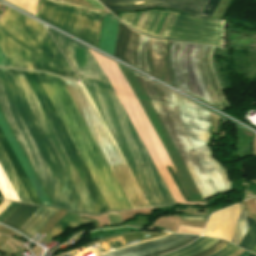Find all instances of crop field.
<instances>
[{
	"mask_svg": "<svg viewBox=\"0 0 256 256\" xmlns=\"http://www.w3.org/2000/svg\"><path fill=\"white\" fill-rule=\"evenodd\" d=\"M86 84L153 207L174 201L110 83L89 49L49 29ZM139 84L203 198L230 189L227 173L207 146L210 112L137 74Z\"/></svg>",
	"mask_w": 256,
	"mask_h": 256,
	"instance_id": "crop-field-1",
	"label": "crop field"
},
{
	"mask_svg": "<svg viewBox=\"0 0 256 256\" xmlns=\"http://www.w3.org/2000/svg\"><path fill=\"white\" fill-rule=\"evenodd\" d=\"M10 71L13 77L15 78L19 88L21 89L24 97L26 98L29 106L31 107L40 126L42 127L45 135L47 136L56 155L58 156L61 164L63 165L72 184L74 185L77 193L79 194L88 213H99V211L100 213H102L108 211L109 208L105 200L103 199L93 178L91 177L88 169L86 168L82 158L80 157L58 114L56 113L41 83L39 82L35 72L23 71L26 79L28 80L32 90L34 91L37 99L39 100L47 117L49 118L53 128L55 129L63 146L65 147L68 155L70 156L74 166L76 167L79 175L81 176L99 211L96 205L94 204L90 194L88 193L85 185L83 184L80 176L78 175L75 167L73 166L64 147L62 146L59 138L57 137L54 129L52 128L43 109L41 108L38 100L36 99L33 91L31 90L22 71L12 69H10ZM10 71L9 69L0 68V78L4 86L6 87L16 108L18 109L27 128L29 129L32 137L34 138L49 168L51 169L72 210L80 213H87L84 205L82 204L78 194L76 193L73 185L71 184L68 176L66 175L62 165L60 164L57 156L55 155L52 147L50 146L46 136L44 135L41 127L39 126L36 118L34 117L30 107L28 106Z\"/></svg>",
	"mask_w": 256,
	"mask_h": 256,
	"instance_id": "crop-field-2",
	"label": "crop field"
},
{
	"mask_svg": "<svg viewBox=\"0 0 256 256\" xmlns=\"http://www.w3.org/2000/svg\"><path fill=\"white\" fill-rule=\"evenodd\" d=\"M0 47L13 67L80 81L44 26L8 7L0 17Z\"/></svg>",
	"mask_w": 256,
	"mask_h": 256,
	"instance_id": "crop-field-3",
	"label": "crop field"
},
{
	"mask_svg": "<svg viewBox=\"0 0 256 256\" xmlns=\"http://www.w3.org/2000/svg\"><path fill=\"white\" fill-rule=\"evenodd\" d=\"M110 210L131 209L61 78L37 73Z\"/></svg>",
	"mask_w": 256,
	"mask_h": 256,
	"instance_id": "crop-field-4",
	"label": "crop field"
},
{
	"mask_svg": "<svg viewBox=\"0 0 256 256\" xmlns=\"http://www.w3.org/2000/svg\"><path fill=\"white\" fill-rule=\"evenodd\" d=\"M212 48L169 41L163 81L218 107L227 108L213 73Z\"/></svg>",
	"mask_w": 256,
	"mask_h": 256,
	"instance_id": "crop-field-5",
	"label": "crop field"
},
{
	"mask_svg": "<svg viewBox=\"0 0 256 256\" xmlns=\"http://www.w3.org/2000/svg\"><path fill=\"white\" fill-rule=\"evenodd\" d=\"M108 164L125 162L84 84L62 79ZM132 209L150 207L127 163L110 166Z\"/></svg>",
	"mask_w": 256,
	"mask_h": 256,
	"instance_id": "crop-field-6",
	"label": "crop field"
},
{
	"mask_svg": "<svg viewBox=\"0 0 256 256\" xmlns=\"http://www.w3.org/2000/svg\"><path fill=\"white\" fill-rule=\"evenodd\" d=\"M121 20L152 35L221 46L224 20L159 10L122 14Z\"/></svg>",
	"mask_w": 256,
	"mask_h": 256,
	"instance_id": "crop-field-7",
	"label": "crop field"
},
{
	"mask_svg": "<svg viewBox=\"0 0 256 256\" xmlns=\"http://www.w3.org/2000/svg\"><path fill=\"white\" fill-rule=\"evenodd\" d=\"M101 16V12L62 0H39L37 13V17L95 46L98 44Z\"/></svg>",
	"mask_w": 256,
	"mask_h": 256,
	"instance_id": "crop-field-8",
	"label": "crop field"
},
{
	"mask_svg": "<svg viewBox=\"0 0 256 256\" xmlns=\"http://www.w3.org/2000/svg\"><path fill=\"white\" fill-rule=\"evenodd\" d=\"M0 107L40 177L54 205L71 209L1 80Z\"/></svg>",
	"mask_w": 256,
	"mask_h": 256,
	"instance_id": "crop-field-9",
	"label": "crop field"
},
{
	"mask_svg": "<svg viewBox=\"0 0 256 256\" xmlns=\"http://www.w3.org/2000/svg\"><path fill=\"white\" fill-rule=\"evenodd\" d=\"M0 128L2 129L6 139L8 140L11 148L13 149L16 157L18 158L21 166L23 167L26 175L28 176L32 186L34 187L37 195L39 196L42 204H48L51 205L48 197L46 196L43 188L41 187L37 177L35 176L32 168L30 167L27 159L25 158L22 150L20 149L17 141L15 140L11 130L9 129L6 121L4 120L1 112H0ZM0 129V144L2 146V148L4 149L8 159L10 160L14 170L16 171L20 181L22 182L26 192L28 193L32 203H36V204H41L38 196L36 195L33 187L31 186L27 176L25 175L22 167L20 166L17 158L15 157L12 149L10 148L7 140L5 139L2 131Z\"/></svg>",
	"mask_w": 256,
	"mask_h": 256,
	"instance_id": "crop-field-10",
	"label": "crop field"
},
{
	"mask_svg": "<svg viewBox=\"0 0 256 256\" xmlns=\"http://www.w3.org/2000/svg\"><path fill=\"white\" fill-rule=\"evenodd\" d=\"M117 24V19L104 13L99 48L112 55L114 53ZM138 36L139 33L127 29L119 22L114 56L134 65Z\"/></svg>",
	"mask_w": 256,
	"mask_h": 256,
	"instance_id": "crop-field-11",
	"label": "crop field"
},
{
	"mask_svg": "<svg viewBox=\"0 0 256 256\" xmlns=\"http://www.w3.org/2000/svg\"><path fill=\"white\" fill-rule=\"evenodd\" d=\"M166 43L140 33L135 67L161 79Z\"/></svg>",
	"mask_w": 256,
	"mask_h": 256,
	"instance_id": "crop-field-12",
	"label": "crop field"
},
{
	"mask_svg": "<svg viewBox=\"0 0 256 256\" xmlns=\"http://www.w3.org/2000/svg\"><path fill=\"white\" fill-rule=\"evenodd\" d=\"M199 236L172 234L153 241L112 251L104 256H157L182 247Z\"/></svg>",
	"mask_w": 256,
	"mask_h": 256,
	"instance_id": "crop-field-13",
	"label": "crop field"
},
{
	"mask_svg": "<svg viewBox=\"0 0 256 256\" xmlns=\"http://www.w3.org/2000/svg\"><path fill=\"white\" fill-rule=\"evenodd\" d=\"M108 9L137 10L160 6L201 14L208 0H98Z\"/></svg>",
	"mask_w": 256,
	"mask_h": 256,
	"instance_id": "crop-field-14",
	"label": "crop field"
},
{
	"mask_svg": "<svg viewBox=\"0 0 256 256\" xmlns=\"http://www.w3.org/2000/svg\"><path fill=\"white\" fill-rule=\"evenodd\" d=\"M56 209L39 207L19 231L32 237L56 212Z\"/></svg>",
	"mask_w": 256,
	"mask_h": 256,
	"instance_id": "crop-field-15",
	"label": "crop field"
},
{
	"mask_svg": "<svg viewBox=\"0 0 256 256\" xmlns=\"http://www.w3.org/2000/svg\"><path fill=\"white\" fill-rule=\"evenodd\" d=\"M0 165L3 168L7 178L9 179L13 189L15 190L19 200L21 202L31 203L27 193L25 192L21 182L19 181L15 171L13 170L1 146H0Z\"/></svg>",
	"mask_w": 256,
	"mask_h": 256,
	"instance_id": "crop-field-16",
	"label": "crop field"
},
{
	"mask_svg": "<svg viewBox=\"0 0 256 256\" xmlns=\"http://www.w3.org/2000/svg\"><path fill=\"white\" fill-rule=\"evenodd\" d=\"M94 222L93 220H87L81 217H78L76 215H73L71 213H67L59 223H57L52 230L42 239V241H45L49 243L54 238L58 237L63 231H65V226H69L71 228H76L79 226H82L87 223Z\"/></svg>",
	"mask_w": 256,
	"mask_h": 256,
	"instance_id": "crop-field-17",
	"label": "crop field"
},
{
	"mask_svg": "<svg viewBox=\"0 0 256 256\" xmlns=\"http://www.w3.org/2000/svg\"><path fill=\"white\" fill-rule=\"evenodd\" d=\"M38 206L20 204L16 211L4 224L18 230L22 224L34 213Z\"/></svg>",
	"mask_w": 256,
	"mask_h": 256,
	"instance_id": "crop-field-18",
	"label": "crop field"
},
{
	"mask_svg": "<svg viewBox=\"0 0 256 256\" xmlns=\"http://www.w3.org/2000/svg\"><path fill=\"white\" fill-rule=\"evenodd\" d=\"M208 238L209 237H200L199 239L195 240L194 242H192L188 246H186V247H184V248H182L180 250H177V251H174V252L162 255V256H176V255H178L180 253H183V252H186V251H189V250L193 249V250H191V251H189V252H187V253H185L183 255H179V256H192V255H195V254H197V253H199V252H201V251L211 247L214 243L219 241V239L210 238L205 243H203Z\"/></svg>",
	"mask_w": 256,
	"mask_h": 256,
	"instance_id": "crop-field-19",
	"label": "crop field"
},
{
	"mask_svg": "<svg viewBox=\"0 0 256 256\" xmlns=\"http://www.w3.org/2000/svg\"><path fill=\"white\" fill-rule=\"evenodd\" d=\"M239 205L241 208V212H240L239 221L237 224L236 231H235L233 239L231 241L237 245L241 241V239L243 238V236L245 235V233L247 232L248 227H249L248 217H247L246 211L243 207V204L240 203Z\"/></svg>",
	"mask_w": 256,
	"mask_h": 256,
	"instance_id": "crop-field-20",
	"label": "crop field"
},
{
	"mask_svg": "<svg viewBox=\"0 0 256 256\" xmlns=\"http://www.w3.org/2000/svg\"><path fill=\"white\" fill-rule=\"evenodd\" d=\"M251 220L250 228L248 233L244 236L242 241L239 243V246L246 248L248 250H252L254 245L256 244V224L255 221Z\"/></svg>",
	"mask_w": 256,
	"mask_h": 256,
	"instance_id": "crop-field-21",
	"label": "crop field"
},
{
	"mask_svg": "<svg viewBox=\"0 0 256 256\" xmlns=\"http://www.w3.org/2000/svg\"><path fill=\"white\" fill-rule=\"evenodd\" d=\"M229 243H227L226 241L220 239V241L218 243H216L214 246H212L211 248H209L208 250L199 253L198 255L195 256H207L211 253H214L216 251L221 250L222 248H224L225 246H227Z\"/></svg>",
	"mask_w": 256,
	"mask_h": 256,
	"instance_id": "crop-field-22",
	"label": "crop field"
},
{
	"mask_svg": "<svg viewBox=\"0 0 256 256\" xmlns=\"http://www.w3.org/2000/svg\"><path fill=\"white\" fill-rule=\"evenodd\" d=\"M219 0H209L207 5L205 6L202 15H206V16H212L217 4H218Z\"/></svg>",
	"mask_w": 256,
	"mask_h": 256,
	"instance_id": "crop-field-23",
	"label": "crop field"
},
{
	"mask_svg": "<svg viewBox=\"0 0 256 256\" xmlns=\"http://www.w3.org/2000/svg\"><path fill=\"white\" fill-rule=\"evenodd\" d=\"M239 248L233 246V245H228L227 247H225L223 250L214 253L210 256H230L231 254H233L234 252H236Z\"/></svg>",
	"mask_w": 256,
	"mask_h": 256,
	"instance_id": "crop-field-24",
	"label": "crop field"
},
{
	"mask_svg": "<svg viewBox=\"0 0 256 256\" xmlns=\"http://www.w3.org/2000/svg\"><path fill=\"white\" fill-rule=\"evenodd\" d=\"M19 204L11 203L10 206L0 214V222H4L18 207Z\"/></svg>",
	"mask_w": 256,
	"mask_h": 256,
	"instance_id": "crop-field-25",
	"label": "crop field"
},
{
	"mask_svg": "<svg viewBox=\"0 0 256 256\" xmlns=\"http://www.w3.org/2000/svg\"><path fill=\"white\" fill-rule=\"evenodd\" d=\"M0 65L12 67V65L10 64V62L8 61V59L6 58V56L4 55L1 49H0Z\"/></svg>",
	"mask_w": 256,
	"mask_h": 256,
	"instance_id": "crop-field-26",
	"label": "crop field"
},
{
	"mask_svg": "<svg viewBox=\"0 0 256 256\" xmlns=\"http://www.w3.org/2000/svg\"><path fill=\"white\" fill-rule=\"evenodd\" d=\"M181 219H193V220H207V216H189V215H183Z\"/></svg>",
	"mask_w": 256,
	"mask_h": 256,
	"instance_id": "crop-field-27",
	"label": "crop field"
},
{
	"mask_svg": "<svg viewBox=\"0 0 256 256\" xmlns=\"http://www.w3.org/2000/svg\"><path fill=\"white\" fill-rule=\"evenodd\" d=\"M87 2H89L91 5H93L96 8H99L102 10L103 6H101L99 3H97L95 0H86Z\"/></svg>",
	"mask_w": 256,
	"mask_h": 256,
	"instance_id": "crop-field-28",
	"label": "crop field"
},
{
	"mask_svg": "<svg viewBox=\"0 0 256 256\" xmlns=\"http://www.w3.org/2000/svg\"><path fill=\"white\" fill-rule=\"evenodd\" d=\"M248 255H250V253L244 251L240 256H248Z\"/></svg>",
	"mask_w": 256,
	"mask_h": 256,
	"instance_id": "crop-field-29",
	"label": "crop field"
},
{
	"mask_svg": "<svg viewBox=\"0 0 256 256\" xmlns=\"http://www.w3.org/2000/svg\"><path fill=\"white\" fill-rule=\"evenodd\" d=\"M250 256H256V255L251 254Z\"/></svg>",
	"mask_w": 256,
	"mask_h": 256,
	"instance_id": "crop-field-30",
	"label": "crop field"
},
{
	"mask_svg": "<svg viewBox=\"0 0 256 256\" xmlns=\"http://www.w3.org/2000/svg\"><path fill=\"white\" fill-rule=\"evenodd\" d=\"M252 182L256 183L255 181H252Z\"/></svg>",
	"mask_w": 256,
	"mask_h": 256,
	"instance_id": "crop-field-31",
	"label": "crop field"
}]
</instances>
